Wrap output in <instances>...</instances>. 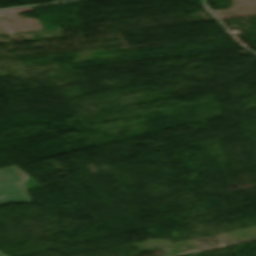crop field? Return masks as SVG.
Segmentation results:
<instances>
[{
	"instance_id": "crop-field-2",
	"label": "crop field",
	"mask_w": 256,
	"mask_h": 256,
	"mask_svg": "<svg viewBox=\"0 0 256 256\" xmlns=\"http://www.w3.org/2000/svg\"><path fill=\"white\" fill-rule=\"evenodd\" d=\"M0 256H5V255H3L2 253H0Z\"/></svg>"
},
{
	"instance_id": "crop-field-1",
	"label": "crop field",
	"mask_w": 256,
	"mask_h": 256,
	"mask_svg": "<svg viewBox=\"0 0 256 256\" xmlns=\"http://www.w3.org/2000/svg\"><path fill=\"white\" fill-rule=\"evenodd\" d=\"M29 177L16 166L0 169V205L14 202H31L24 186V181Z\"/></svg>"
}]
</instances>
